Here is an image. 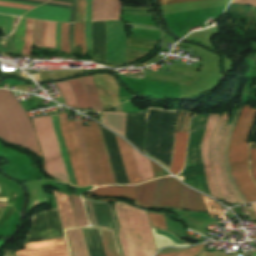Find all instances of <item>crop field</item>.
Wrapping results in <instances>:
<instances>
[{
  "instance_id": "8a807250",
  "label": "crop field",
  "mask_w": 256,
  "mask_h": 256,
  "mask_svg": "<svg viewBox=\"0 0 256 256\" xmlns=\"http://www.w3.org/2000/svg\"><path fill=\"white\" fill-rule=\"evenodd\" d=\"M115 211L124 256H153L156 249L146 211L122 202L115 203Z\"/></svg>"
},
{
  "instance_id": "ac0d7876",
  "label": "crop field",
  "mask_w": 256,
  "mask_h": 256,
  "mask_svg": "<svg viewBox=\"0 0 256 256\" xmlns=\"http://www.w3.org/2000/svg\"><path fill=\"white\" fill-rule=\"evenodd\" d=\"M256 117V110L244 106L229 147L231 175L247 202L256 200V185L248 171L247 140Z\"/></svg>"
},
{
  "instance_id": "34b2d1b8",
  "label": "crop field",
  "mask_w": 256,
  "mask_h": 256,
  "mask_svg": "<svg viewBox=\"0 0 256 256\" xmlns=\"http://www.w3.org/2000/svg\"><path fill=\"white\" fill-rule=\"evenodd\" d=\"M0 139L23 146L42 157L28 116L7 90H0Z\"/></svg>"
},
{
  "instance_id": "412701ff",
  "label": "crop field",
  "mask_w": 256,
  "mask_h": 256,
  "mask_svg": "<svg viewBox=\"0 0 256 256\" xmlns=\"http://www.w3.org/2000/svg\"><path fill=\"white\" fill-rule=\"evenodd\" d=\"M32 120L44 157V170L51 176L68 182L50 115Z\"/></svg>"
},
{
  "instance_id": "f4fd0767",
  "label": "crop field",
  "mask_w": 256,
  "mask_h": 256,
  "mask_svg": "<svg viewBox=\"0 0 256 256\" xmlns=\"http://www.w3.org/2000/svg\"><path fill=\"white\" fill-rule=\"evenodd\" d=\"M98 129H99V126H98ZM98 129H97L96 123H94L93 121H90L89 126H82L84 139H85L88 153L90 156V160H91V164H92L95 178L97 181V185L99 186V185L114 184L115 179L113 182L114 176L112 178V175H113V173L111 175L112 169L110 171L111 166L109 168V165H110V163L108 165L109 159L107 162L108 156L106 158V155H107V153L105 155L106 149L104 146V149H105V152H104V149H103L104 143L102 145L103 139L100 133V136L102 139V142H101V139L99 136L100 129H99V132H98Z\"/></svg>"
},
{
  "instance_id": "dd49c442",
  "label": "crop field",
  "mask_w": 256,
  "mask_h": 256,
  "mask_svg": "<svg viewBox=\"0 0 256 256\" xmlns=\"http://www.w3.org/2000/svg\"><path fill=\"white\" fill-rule=\"evenodd\" d=\"M68 154L78 186L90 185L89 176L74 131L75 121H67L66 114L59 115Z\"/></svg>"
},
{
  "instance_id": "e52e79f7",
  "label": "crop field",
  "mask_w": 256,
  "mask_h": 256,
  "mask_svg": "<svg viewBox=\"0 0 256 256\" xmlns=\"http://www.w3.org/2000/svg\"><path fill=\"white\" fill-rule=\"evenodd\" d=\"M231 100L227 103V107H228L229 103L231 102ZM226 110H227V108H226ZM226 110L223 112V114L216 126V129L213 133L210 155H211V162H212V167H213V170L215 173L216 182L221 191L224 201L237 202L236 199L231 194L230 190L228 189V187L223 179L221 165H220V161H219V145H220V141H221V137H222L224 128L227 124V118L229 116V113L226 114Z\"/></svg>"
},
{
  "instance_id": "d8731c3e",
  "label": "crop field",
  "mask_w": 256,
  "mask_h": 256,
  "mask_svg": "<svg viewBox=\"0 0 256 256\" xmlns=\"http://www.w3.org/2000/svg\"><path fill=\"white\" fill-rule=\"evenodd\" d=\"M151 207L183 209L181 183L172 177L160 179Z\"/></svg>"
},
{
  "instance_id": "5a996713",
  "label": "crop field",
  "mask_w": 256,
  "mask_h": 256,
  "mask_svg": "<svg viewBox=\"0 0 256 256\" xmlns=\"http://www.w3.org/2000/svg\"><path fill=\"white\" fill-rule=\"evenodd\" d=\"M69 81L79 108H92L98 111L103 110L91 76L71 79Z\"/></svg>"
},
{
  "instance_id": "3316defc",
  "label": "crop field",
  "mask_w": 256,
  "mask_h": 256,
  "mask_svg": "<svg viewBox=\"0 0 256 256\" xmlns=\"http://www.w3.org/2000/svg\"><path fill=\"white\" fill-rule=\"evenodd\" d=\"M17 256H69L65 238L24 244Z\"/></svg>"
},
{
  "instance_id": "28ad6ade",
  "label": "crop field",
  "mask_w": 256,
  "mask_h": 256,
  "mask_svg": "<svg viewBox=\"0 0 256 256\" xmlns=\"http://www.w3.org/2000/svg\"><path fill=\"white\" fill-rule=\"evenodd\" d=\"M219 117H220V114H209L206 130H205V134L202 142V147H201V156L204 163L205 174H206L210 192L213 196L221 200V197L219 195V192L216 188V185L212 177V169L210 165L209 152H208L210 138L212 136V133L215 129V126L217 124Z\"/></svg>"
},
{
  "instance_id": "d1516ede",
  "label": "crop field",
  "mask_w": 256,
  "mask_h": 256,
  "mask_svg": "<svg viewBox=\"0 0 256 256\" xmlns=\"http://www.w3.org/2000/svg\"><path fill=\"white\" fill-rule=\"evenodd\" d=\"M24 17L69 22L70 9L41 5L27 12Z\"/></svg>"
},
{
  "instance_id": "22f410ed",
  "label": "crop field",
  "mask_w": 256,
  "mask_h": 256,
  "mask_svg": "<svg viewBox=\"0 0 256 256\" xmlns=\"http://www.w3.org/2000/svg\"><path fill=\"white\" fill-rule=\"evenodd\" d=\"M116 140L119 146V150L122 156V160L125 166L129 183L130 184L140 183L141 181L139 178V174L135 165V161H134L130 146L117 136H116Z\"/></svg>"
},
{
  "instance_id": "cbeb9de0",
  "label": "crop field",
  "mask_w": 256,
  "mask_h": 256,
  "mask_svg": "<svg viewBox=\"0 0 256 256\" xmlns=\"http://www.w3.org/2000/svg\"><path fill=\"white\" fill-rule=\"evenodd\" d=\"M53 192H54L55 200H56V203H57V206L59 209L63 228L66 229V228H71V227L77 226L75 217H74V213H73V209H72V205L70 202V197L67 195H64L60 192H59V194H57V192L54 190H53Z\"/></svg>"
},
{
  "instance_id": "5142ce71",
  "label": "crop field",
  "mask_w": 256,
  "mask_h": 256,
  "mask_svg": "<svg viewBox=\"0 0 256 256\" xmlns=\"http://www.w3.org/2000/svg\"><path fill=\"white\" fill-rule=\"evenodd\" d=\"M159 180V179H158ZM158 180L139 184L137 188L135 205L138 207L149 209L155 194Z\"/></svg>"
},
{
  "instance_id": "d9b57169",
  "label": "crop field",
  "mask_w": 256,
  "mask_h": 256,
  "mask_svg": "<svg viewBox=\"0 0 256 256\" xmlns=\"http://www.w3.org/2000/svg\"><path fill=\"white\" fill-rule=\"evenodd\" d=\"M186 139L187 133H176L173 160L170 169V172L174 175H176L183 166Z\"/></svg>"
},
{
  "instance_id": "733c2abd",
  "label": "crop field",
  "mask_w": 256,
  "mask_h": 256,
  "mask_svg": "<svg viewBox=\"0 0 256 256\" xmlns=\"http://www.w3.org/2000/svg\"><path fill=\"white\" fill-rule=\"evenodd\" d=\"M66 232L73 252V256H88L82 229H73Z\"/></svg>"
},
{
  "instance_id": "4a817a6b",
  "label": "crop field",
  "mask_w": 256,
  "mask_h": 256,
  "mask_svg": "<svg viewBox=\"0 0 256 256\" xmlns=\"http://www.w3.org/2000/svg\"><path fill=\"white\" fill-rule=\"evenodd\" d=\"M182 198L185 209L194 211H207L199 193L182 185Z\"/></svg>"
},
{
  "instance_id": "bc2a9ffb",
  "label": "crop field",
  "mask_w": 256,
  "mask_h": 256,
  "mask_svg": "<svg viewBox=\"0 0 256 256\" xmlns=\"http://www.w3.org/2000/svg\"><path fill=\"white\" fill-rule=\"evenodd\" d=\"M137 186L131 187H102L94 190L97 196H116L134 200Z\"/></svg>"
},
{
  "instance_id": "214f88e0",
  "label": "crop field",
  "mask_w": 256,
  "mask_h": 256,
  "mask_svg": "<svg viewBox=\"0 0 256 256\" xmlns=\"http://www.w3.org/2000/svg\"><path fill=\"white\" fill-rule=\"evenodd\" d=\"M51 117H52V121L54 123L56 137H57L58 144H59V147H60V151H61V154H62V157H63V161H64L65 168H66V171H67L69 182H70V184H72L74 186H77L76 182H75L73 172H72V168H71V165H70V162H69V159H68V155H67V152H66V149H65V146H64V142H63V139H62V136H61V132H60V129H59L58 117L57 116H51Z\"/></svg>"
},
{
  "instance_id": "92a150f3",
  "label": "crop field",
  "mask_w": 256,
  "mask_h": 256,
  "mask_svg": "<svg viewBox=\"0 0 256 256\" xmlns=\"http://www.w3.org/2000/svg\"><path fill=\"white\" fill-rule=\"evenodd\" d=\"M100 229L106 256H121L118 251L114 232L107 229Z\"/></svg>"
},
{
  "instance_id": "dafd665d",
  "label": "crop field",
  "mask_w": 256,
  "mask_h": 256,
  "mask_svg": "<svg viewBox=\"0 0 256 256\" xmlns=\"http://www.w3.org/2000/svg\"><path fill=\"white\" fill-rule=\"evenodd\" d=\"M132 151H133V155H134V158H135V161L137 164V168H138V171L140 174L141 181L143 182L145 180L153 178L154 176H153V172L151 169L149 159L138 154L133 149H132Z\"/></svg>"
},
{
  "instance_id": "00972430",
  "label": "crop field",
  "mask_w": 256,
  "mask_h": 256,
  "mask_svg": "<svg viewBox=\"0 0 256 256\" xmlns=\"http://www.w3.org/2000/svg\"><path fill=\"white\" fill-rule=\"evenodd\" d=\"M56 23L43 21L42 46L55 48Z\"/></svg>"
},
{
  "instance_id": "a9b5d70f",
  "label": "crop field",
  "mask_w": 256,
  "mask_h": 256,
  "mask_svg": "<svg viewBox=\"0 0 256 256\" xmlns=\"http://www.w3.org/2000/svg\"><path fill=\"white\" fill-rule=\"evenodd\" d=\"M25 26H26V19L21 18L20 22L16 28L13 53L21 54V52H22L24 38H25Z\"/></svg>"
},
{
  "instance_id": "4177f3b9",
  "label": "crop field",
  "mask_w": 256,
  "mask_h": 256,
  "mask_svg": "<svg viewBox=\"0 0 256 256\" xmlns=\"http://www.w3.org/2000/svg\"><path fill=\"white\" fill-rule=\"evenodd\" d=\"M71 197H72V202H73V205H74L78 225L79 226L88 225L86 215H85V211H84V207H83V204H82V201H81L80 197H78V196H76L72 193H71Z\"/></svg>"
},
{
  "instance_id": "730fd06b",
  "label": "crop field",
  "mask_w": 256,
  "mask_h": 256,
  "mask_svg": "<svg viewBox=\"0 0 256 256\" xmlns=\"http://www.w3.org/2000/svg\"><path fill=\"white\" fill-rule=\"evenodd\" d=\"M57 88L62 92L66 104L71 106V107H77L73 92L71 90L70 84L68 81L65 82H58L55 83ZM78 108V107H77Z\"/></svg>"
},
{
  "instance_id": "eef30255",
  "label": "crop field",
  "mask_w": 256,
  "mask_h": 256,
  "mask_svg": "<svg viewBox=\"0 0 256 256\" xmlns=\"http://www.w3.org/2000/svg\"><path fill=\"white\" fill-rule=\"evenodd\" d=\"M85 23L75 24V41L76 45L82 44V57L84 56L86 45H85Z\"/></svg>"
},
{
  "instance_id": "ae1a2a85",
  "label": "crop field",
  "mask_w": 256,
  "mask_h": 256,
  "mask_svg": "<svg viewBox=\"0 0 256 256\" xmlns=\"http://www.w3.org/2000/svg\"><path fill=\"white\" fill-rule=\"evenodd\" d=\"M33 21L27 19V26H26V38H25V45L22 54L30 55L31 46H32V28H33Z\"/></svg>"
},
{
  "instance_id": "d3111659",
  "label": "crop field",
  "mask_w": 256,
  "mask_h": 256,
  "mask_svg": "<svg viewBox=\"0 0 256 256\" xmlns=\"http://www.w3.org/2000/svg\"><path fill=\"white\" fill-rule=\"evenodd\" d=\"M13 18L14 16L0 14V28L3 31V35H7L11 32Z\"/></svg>"
},
{
  "instance_id": "750c4746",
  "label": "crop field",
  "mask_w": 256,
  "mask_h": 256,
  "mask_svg": "<svg viewBox=\"0 0 256 256\" xmlns=\"http://www.w3.org/2000/svg\"><path fill=\"white\" fill-rule=\"evenodd\" d=\"M202 245L203 244L193 246V247H190L186 250L176 252V253H166V254H160V255H156V256H195L198 253V251H199V249L201 248Z\"/></svg>"
},
{
  "instance_id": "bd1437ed",
  "label": "crop field",
  "mask_w": 256,
  "mask_h": 256,
  "mask_svg": "<svg viewBox=\"0 0 256 256\" xmlns=\"http://www.w3.org/2000/svg\"><path fill=\"white\" fill-rule=\"evenodd\" d=\"M68 27L69 24L62 23L61 30V51L65 53H70L69 43H68Z\"/></svg>"
},
{
  "instance_id": "1d83c4d3",
  "label": "crop field",
  "mask_w": 256,
  "mask_h": 256,
  "mask_svg": "<svg viewBox=\"0 0 256 256\" xmlns=\"http://www.w3.org/2000/svg\"><path fill=\"white\" fill-rule=\"evenodd\" d=\"M86 0H78L75 22L85 21Z\"/></svg>"
},
{
  "instance_id": "120bbe31",
  "label": "crop field",
  "mask_w": 256,
  "mask_h": 256,
  "mask_svg": "<svg viewBox=\"0 0 256 256\" xmlns=\"http://www.w3.org/2000/svg\"><path fill=\"white\" fill-rule=\"evenodd\" d=\"M202 199H203V201H204V203H205V205H206V207L208 209L209 215L213 216V212H212L210 203H211V205L213 207V210L215 212V215H216L217 214V210H216V206H215L214 201L211 200V199H208V198H206L204 196H202ZM216 205H217V209H218V218H222L221 207L217 203H216Z\"/></svg>"
},
{
  "instance_id": "d32e631a",
  "label": "crop field",
  "mask_w": 256,
  "mask_h": 256,
  "mask_svg": "<svg viewBox=\"0 0 256 256\" xmlns=\"http://www.w3.org/2000/svg\"><path fill=\"white\" fill-rule=\"evenodd\" d=\"M148 214H149L150 221H151L152 225L159 227V228L166 229L164 216L150 214V213H148Z\"/></svg>"
},
{
  "instance_id": "5866460e",
  "label": "crop field",
  "mask_w": 256,
  "mask_h": 256,
  "mask_svg": "<svg viewBox=\"0 0 256 256\" xmlns=\"http://www.w3.org/2000/svg\"><path fill=\"white\" fill-rule=\"evenodd\" d=\"M0 6L19 8V9H26V10H30V9L34 8V6H28V5L16 4V3H10V2H4V1H0Z\"/></svg>"
},
{
  "instance_id": "028f5c9d",
  "label": "crop field",
  "mask_w": 256,
  "mask_h": 256,
  "mask_svg": "<svg viewBox=\"0 0 256 256\" xmlns=\"http://www.w3.org/2000/svg\"><path fill=\"white\" fill-rule=\"evenodd\" d=\"M25 12H27V11L26 10L0 7V13H8V14H15V15L22 16Z\"/></svg>"
},
{
  "instance_id": "e1f06a70",
  "label": "crop field",
  "mask_w": 256,
  "mask_h": 256,
  "mask_svg": "<svg viewBox=\"0 0 256 256\" xmlns=\"http://www.w3.org/2000/svg\"><path fill=\"white\" fill-rule=\"evenodd\" d=\"M156 233L159 234V235H162V236L166 237L167 239H169V240H170L171 242H173L174 244H186V243L181 242V241L178 240L176 237L170 235V234L167 233V232L160 231V230H157V229H156Z\"/></svg>"
},
{
  "instance_id": "0bd39190",
  "label": "crop field",
  "mask_w": 256,
  "mask_h": 256,
  "mask_svg": "<svg viewBox=\"0 0 256 256\" xmlns=\"http://www.w3.org/2000/svg\"><path fill=\"white\" fill-rule=\"evenodd\" d=\"M69 42H70L71 53H75V47H74V24H70V27H69Z\"/></svg>"
},
{
  "instance_id": "b80d0937",
  "label": "crop field",
  "mask_w": 256,
  "mask_h": 256,
  "mask_svg": "<svg viewBox=\"0 0 256 256\" xmlns=\"http://www.w3.org/2000/svg\"><path fill=\"white\" fill-rule=\"evenodd\" d=\"M252 174L256 180V149H251Z\"/></svg>"
},
{
  "instance_id": "c035e120",
  "label": "crop field",
  "mask_w": 256,
  "mask_h": 256,
  "mask_svg": "<svg viewBox=\"0 0 256 256\" xmlns=\"http://www.w3.org/2000/svg\"><path fill=\"white\" fill-rule=\"evenodd\" d=\"M90 27H91V23H86V45L87 48H92V44H91V36H90Z\"/></svg>"
},
{
  "instance_id": "c21b1889",
  "label": "crop field",
  "mask_w": 256,
  "mask_h": 256,
  "mask_svg": "<svg viewBox=\"0 0 256 256\" xmlns=\"http://www.w3.org/2000/svg\"><path fill=\"white\" fill-rule=\"evenodd\" d=\"M58 1H64V2L72 3L70 22H74V18H75V8H76V0H58Z\"/></svg>"
},
{
  "instance_id": "03da06ac",
  "label": "crop field",
  "mask_w": 256,
  "mask_h": 256,
  "mask_svg": "<svg viewBox=\"0 0 256 256\" xmlns=\"http://www.w3.org/2000/svg\"><path fill=\"white\" fill-rule=\"evenodd\" d=\"M60 30H61V23H57L56 27V50L60 51Z\"/></svg>"
},
{
  "instance_id": "b54c1fbb",
  "label": "crop field",
  "mask_w": 256,
  "mask_h": 256,
  "mask_svg": "<svg viewBox=\"0 0 256 256\" xmlns=\"http://www.w3.org/2000/svg\"><path fill=\"white\" fill-rule=\"evenodd\" d=\"M189 1H197V0H160V4L165 5V4H173V3H181V2H189Z\"/></svg>"
},
{
  "instance_id": "5d738f31",
  "label": "crop field",
  "mask_w": 256,
  "mask_h": 256,
  "mask_svg": "<svg viewBox=\"0 0 256 256\" xmlns=\"http://www.w3.org/2000/svg\"><path fill=\"white\" fill-rule=\"evenodd\" d=\"M151 165H152V168H153V172H154V176H155V177H157V176H162V175H163L161 168H160L157 164H155V163H153V162L151 161Z\"/></svg>"
},
{
  "instance_id": "d23c7cc5",
  "label": "crop field",
  "mask_w": 256,
  "mask_h": 256,
  "mask_svg": "<svg viewBox=\"0 0 256 256\" xmlns=\"http://www.w3.org/2000/svg\"><path fill=\"white\" fill-rule=\"evenodd\" d=\"M90 13H91V0H88L87 9H86V21H90Z\"/></svg>"
},
{
  "instance_id": "425ffa30",
  "label": "crop field",
  "mask_w": 256,
  "mask_h": 256,
  "mask_svg": "<svg viewBox=\"0 0 256 256\" xmlns=\"http://www.w3.org/2000/svg\"><path fill=\"white\" fill-rule=\"evenodd\" d=\"M148 109H153V108H148ZM159 110H164V109H159ZM165 111H170V110H165ZM177 114V113H176ZM176 118V117H175ZM144 153H146L144 151ZM148 156H150L151 158H153L155 161L159 162L161 165H163L160 161H158L156 158H154L153 156L149 155L148 153H146ZM166 169L169 170V168H167L165 165H163Z\"/></svg>"
},
{
  "instance_id": "25e5ab78",
  "label": "crop field",
  "mask_w": 256,
  "mask_h": 256,
  "mask_svg": "<svg viewBox=\"0 0 256 256\" xmlns=\"http://www.w3.org/2000/svg\"><path fill=\"white\" fill-rule=\"evenodd\" d=\"M46 5H52V6H59V7H67L70 8L71 6H66V5H57V4H50V3H45Z\"/></svg>"
},
{
  "instance_id": "73cf0c24",
  "label": "crop field",
  "mask_w": 256,
  "mask_h": 256,
  "mask_svg": "<svg viewBox=\"0 0 256 256\" xmlns=\"http://www.w3.org/2000/svg\"><path fill=\"white\" fill-rule=\"evenodd\" d=\"M17 1H24V2L43 4V2H37V1H31V0H17Z\"/></svg>"
},
{
  "instance_id": "89e229c0",
  "label": "crop field",
  "mask_w": 256,
  "mask_h": 256,
  "mask_svg": "<svg viewBox=\"0 0 256 256\" xmlns=\"http://www.w3.org/2000/svg\"><path fill=\"white\" fill-rule=\"evenodd\" d=\"M48 2H51V3H59V4H67V5H71V4H69V3H63V2L52 1V0H49Z\"/></svg>"
},
{
  "instance_id": "1f2cbd36",
  "label": "crop field",
  "mask_w": 256,
  "mask_h": 256,
  "mask_svg": "<svg viewBox=\"0 0 256 256\" xmlns=\"http://www.w3.org/2000/svg\"><path fill=\"white\" fill-rule=\"evenodd\" d=\"M89 195H92V192L89 193V194H87V197L94 198V197H91V196H89ZM95 199H97V198H95ZM101 200H105V199H101ZM107 201H117V200H107Z\"/></svg>"
},
{
  "instance_id": "dbb93151",
  "label": "crop field",
  "mask_w": 256,
  "mask_h": 256,
  "mask_svg": "<svg viewBox=\"0 0 256 256\" xmlns=\"http://www.w3.org/2000/svg\"><path fill=\"white\" fill-rule=\"evenodd\" d=\"M5 1H10V0H5ZM12 2H16V1H12ZM18 3H23V2H18ZM23 4H29V5L38 6L37 4H30V3H23Z\"/></svg>"
},
{
  "instance_id": "0fb4a251",
  "label": "crop field",
  "mask_w": 256,
  "mask_h": 256,
  "mask_svg": "<svg viewBox=\"0 0 256 256\" xmlns=\"http://www.w3.org/2000/svg\"><path fill=\"white\" fill-rule=\"evenodd\" d=\"M38 1H43V2H46L47 0H38Z\"/></svg>"
},
{
  "instance_id": "1d79db26",
  "label": "crop field",
  "mask_w": 256,
  "mask_h": 256,
  "mask_svg": "<svg viewBox=\"0 0 256 256\" xmlns=\"http://www.w3.org/2000/svg\"><path fill=\"white\" fill-rule=\"evenodd\" d=\"M254 207H255V209H256V205H255Z\"/></svg>"
}]
</instances>
